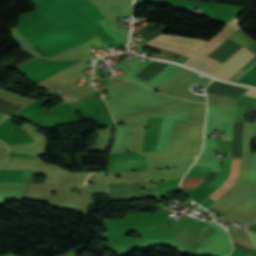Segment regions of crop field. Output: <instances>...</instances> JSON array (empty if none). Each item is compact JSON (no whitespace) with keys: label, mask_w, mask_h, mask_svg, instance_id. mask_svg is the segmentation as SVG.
<instances>
[{"label":"crop field","mask_w":256,"mask_h":256,"mask_svg":"<svg viewBox=\"0 0 256 256\" xmlns=\"http://www.w3.org/2000/svg\"><path fill=\"white\" fill-rule=\"evenodd\" d=\"M226 28H229L231 30H238V26L235 24L234 21L228 23ZM223 29L220 33H218L216 36H214L208 43H206L203 47H201L197 52L207 56L209 53H211L216 47H218L223 41H225L229 36H231L234 31H231L229 29ZM195 52L189 60L185 63V65L190 66L192 68H195L197 70H200L202 72H205L209 74L211 71H213L217 66L220 65V63L205 57L199 53Z\"/></svg>","instance_id":"8a807250"},{"label":"crop field","mask_w":256,"mask_h":256,"mask_svg":"<svg viewBox=\"0 0 256 256\" xmlns=\"http://www.w3.org/2000/svg\"><path fill=\"white\" fill-rule=\"evenodd\" d=\"M147 43L182 55L190 56L196 49L200 48L206 42L177 35L161 34Z\"/></svg>","instance_id":"ac0d7876"},{"label":"crop field","mask_w":256,"mask_h":256,"mask_svg":"<svg viewBox=\"0 0 256 256\" xmlns=\"http://www.w3.org/2000/svg\"><path fill=\"white\" fill-rule=\"evenodd\" d=\"M254 56L255 54L243 47L226 62H224L217 70H215L211 76L218 79L228 80Z\"/></svg>","instance_id":"34b2d1b8"},{"label":"crop field","mask_w":256,"mask_h":256,"mask_svg":"<svg viewBox=\"0 0 256 256\" xmlns=\"http://www.w3.org/2000/svg\"><path fill=\"white\" fill-rule=\"evenodd\" d=\"M240 159H232L231 173L228 177V181H235L239 172Z\"/></svg>","instance_id":"412701ff"},{"label":"crop field","mask_w":256,"mask_h":256,"mask_svg":"<svg viewBox=\"0 0 256 256\" xmlns=\"http://www.w3.org/2000/svg\"><path fill=\"white\" fill-rule=\"evenodd\" d=\"M233 184H234V183L226 182L223 186L220 187L219 190H217L215 193H213V194L210 195L209 197H211V198L217 200V199L220 198L223 194H225V192H226L227 190H229V189L232 187Z\"/></svg>","instance_id":"f4fd0767"},{"label":"crop field","mask_w":256,"mask_h":256,"mask_svg":"<svg viewBox=\"0 0 256 256\" xmlns=\"http://www.w3.org/2000/svg\"><path fill=\"white\" fill-rule=\"evenodd\" d=\"M248 234H249V237L251 239V242H252L253 246L256 247V234L252 233V232H248Z\"/></svg>","instance_id":"dd49c442"},{"label":"crop field","mask_w":256,"mask_h":256,"mask_svg":"<svg viewBox=\"0 0 256 256\" xmlns=\"http://www.w3.org/2000/svg\"><path fill=\"white\" fill-rule=\"evenodd\" d=\"M245 95L256 97V89L250 88Z\"/></svg>","instance_id":"e52e79f7"},{"label":"crop field","mask_w":256,"mask_h":256,"mask_svg":"<svg viewBox=\"0 0 256 256\" xmlns=\"http://www.w3.org/2000/svg\"><path fill=\"white\" fill-rule=\"evenodd\" d=\"M126 64V63H125ZM127 65V64H126ZM130 67V66H129ZM131 68V67H130Z\"/></svg>","instance_id":"d8731c3e"}]
</instances>
